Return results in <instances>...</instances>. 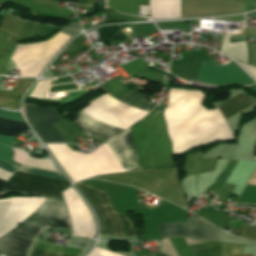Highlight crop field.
<instances>
[{
	"instance_id": "1",
	"label": "crop field",
	"mask_w": 256,
	"mask_h": 256,
	"mask_svg": "<svg viewBox=\"0 0 256 256\" xmlns=\"http://www.w3.org/2000/svg\"><path fill=\"white\" fill-rule=\"evenodd\" d=\"M162 111L163 107L158 105L135 124L161 116ZM130 128L142 170L175 164L163 116ZM132 136L128 129L122 136L106 143L122 172L141 170Z\"/></svg>"
},
{
	"instance_id": "2",
	"label": "crop field",
	"mask_w": 256,
	"mask_h": 256,
	"mask_svg": "<svg viewBox=\"0 0 256 256\" xmlns=\"http://www.w3.org/2000/svg\"><path fill=\"white\" fill-rule=\"evenodd\" d=\"M36 212L67 222L64 203L46 199ZM34 212L27 220L0 237V256H28L44 228H65L69 224Z\"/></svg>"
},
{
	"instance_id": "3",
	"label": "crop field",
	"mask_w": 256,
	"mask_h": 256,
	"mask_svg": "<svg viewBox=\"0 0 256 256\" xmlns=\"http://www.w3.org/2000/svg\"><path fill=\"white\" fill-rule=\"evenodd\" d=\"M13 159L21 164L34 166L50 171L59 172L54 164L52 163L51 159H37L30 157L25 151L21 149L14 148ZM21 165L18 169L19 171L41 175L49 178L65 180L61 174L29 167ZM16 171L12 177L8 180L15 185L11 191L13 192H22V193H32L43 195L48 198H52L58 201H62L61 192L65 190L69 185L65 181H59L54 179H49L41 176L26 174ZM60 173V172H59Z\"/></svg>"
},
{
	"instance_id": "4",
	"label": "crop field",
	"mask_w": 256,
	"mask_h": 256,
	"mask_svg": "<svg viewBox=\"0 0 256 256\" xmlns=\"http://www.w3.org/2000/svg\"><path fill=\"white\" fill-rule=\"evenodd\" d=\"M68 38L70 36L59 32L45 42L19 44L11 60L17 70L20 69V76H37Z\"/></svg>"
},
{
	"instance_id": "5",
	"label": "crop field",
	"mask_w": 256,
	"mask_h": 256,
	"mask_svg": "<svg viewBox=\"0 0 256 256\" xmlns=\"http://www.w3.org/2000/svg\"><path fill=\"white\" fill-rule=\"evenodd\" d=\"M79 190L89 187L78 182ZM96 211L102 225V236H135L131 221L127 216L115 212L109 202L108 193L92 187L81 190Z\"/></svg>"
},
{
	"instance_id": "6",
	"label": "crop field",
	"mask_w": 256,
	"mask_h": 256,
	"mask_svg": "<svg viewBox=\"0 0 256 256\" xmlns=\"http://www.w3.org/2000/svg\"><path fill=\"white\" fill-rule=\"evenodd\" d=\"M147 95L132 91L119 101L150 111L156 104L145 101ZM86 135L99 137L103 142L121 135L124 130L105 124L80 111L78 120L73 122Z\"/></svg>"
},
{
	"instance_id": "7",
	"label": "crop field",
	"mask_w": 256,
	"mask_h": 256,
	"mask_svg": "<svg viewBox=\"0 0 256 256\" xmlns=\"http://www.w3.org/2000/svg\"><path fill=\"white\" fill-rule=\"evenodd\" d=\"M232 62L225 66H215L213 62L203 61L195 81L216 86L255 84Z\"/></svg>"
},
{
	"instance_id": "8",
	"label": "crop field",
	"mask_w": 256,
	"mask_h": 256,
	"mask_svg": "<svg viewBox=\"0 0 256 256\" xmlns=\"http://www.w3.org/2000/svg\"><path fill=\"white\" fill-rule=\"evenodd\" d=\"M44 200L43 198H10L0 200V236L26 219Z\"/></svg>"
},
{
	"instance_id": "9",
	"label": "crop field",
	"mask_w": 256,
	"mask_h": 256,
	"mask_svg": "<svg viewBox=\"0 0 256 256\" xmlns=\"http://www.w3.org/2000/svg\"><path fill=\"white\" fill-rule=\"evenodd\" d=\"M62 194L73 228V235L94 238L96 233L94 219L82 199L72 187Z\"/></svg>"
},
{
	"instance_id": "10",
	"label": "crop field",
	"mask_w": 256,
	"mask_h": 256,
	"mask_svg": "<svg viewBox=\"0 0 256 256\" xmlns=\"http://www.w3.org/2000/svg\"><path fill=\"white\" fill-rule=\"evenodd\" d=\"M24 115L39 134L44 143L63 142L53 123L61 118L51 108H40L26 105Z\"/></svg>"
},
{
	"instance_id": "11",
	"label": "crop field",
	"mask_w": 256,
	"mask_h": 256,
	"mask_svg": "<svg viewBox=\"0 0 256 256\" xmlns=\"http://www.w3.org/2000/svg\"><path fill=\"white\" fill-rule=\"evenodd\" d=\"M160 238L187 236L199 240L218 241L212 225L199 218L188 217V223L157 224Z\"/></svg>"
},
{
	"instance_id": "12",
	"label": "crop field",
	"mask_w": 256,
	"mask_h": 256,
	"mask_svg": "<svg viewBox=\"0 0 256 256\" xmlns=\"http://www.w3.org/2000/svg\"><path fill=\"white\" fill-rule=\"evenodd\" d=\"M0 118L23 122L19 113H9L0 109ZM0 119V134L18 137L22 132L29 130L26 124ZM0 135V143L12 145L16 138Z\"/></svg>"
},
{
	"instance_id": "13",
	"label": "crop field",
	"mask_w": 256,
	"mask_h": 256,
	"mask_svg": "<svg viewBox=\"0 0 256 256\" xmlns=\"http://www.w3.org/2000/svg\"><path fill=\"white\" fill-rule=\"evenodd\" d=\"M33 80L34 79H23L12 92L0 91V106L11 110L19 109V101L22 94Z\"/></svg>"
},
{
	"instance_id": "14",
	"label": "crop field",
	"mask_w": 256,
	"mask_h": 256,
	"mask_svg": "<svg viewBox=\"0 0 256 256\" xmlns=\"http://www.w3.org/2000/svg\"><path fill=\"white\" fill-rule=\"evenodd\" d=\"M84 250L61 248L37 242L30 256H80Z\"/></svg>"
},
{
	"instance_id": "15",
	"label": "crop field",
	"mask_w": 256,
	"mask_h": 256,
	"mask_svg": "<svg viewBox=\"0 0 256 256\" xmlns=\"http://www.w3.org/2000/svg\"><path fill=\"white\" fill-rule=\"evenodd\" d=\"M255 103V101L241 94L238 97L220 105L219 109L224 119H227Z\"/></svg>"
},
{
	"instance_id": "16",
	"label": "crop field",
	"mask_w": 256,
	"mask_h": 256,
	"mask_svg": "<svg viewBox=\"0 0 256 256\" xmlns=\"http://www.w3.org/2000/svg\"><path fill=\"white\" fill-rule=\"evenodd\" d=\"M220 50L236 60L248 63L245 42L229 43V36L224 35L223 43Z\"/></svg>"
},
{
	"instance_id": "17",
	"label": "crop field",
	"mask_w": 256,
	"mask_h": 256,
	"mask_svg": "<svg viewBox=\"0 0 256 256\" xmlns=\"http://www.w3.org/2000/svg\"><path fill=\"white\" fill-rule=\"evenodd\" d=\"M149 0H107V6L113 10L137 15L138 4L148 5Z\"/></svg>"
},
{
	"instance_id": "18",
	"label": "crop field",
	"mask_w": 256,
	"mask_h": 256,
	"mask_svg": "<svg viewBox=\"0 0 256 256\" xmlns=\"http://www.w3.org/2000/svg\"><path fill=\"white\" fill-rule=\"evenodd\" d=\"M17 42L9 36L0 33V74H4L5 67Z\"/></svg>"
},
{
	"instance_id": "19",
	"label": "crop field",
	"mask_w": 256,
	"mask_h": 256,
	"mask_svg": "<svg viewBox=\"0 0 256 256\" xmlns=\"http://www.w3.org/2000/svg\"><path fill=\"white\" fill-rule=\"evenodd\" d=\"M193 256H221V246L216 242H208L189 246Z\"/></svg>"
},
{
	"instance_id": "20",
	"label": "crop field",
	"mask_w": 256,
	"mask_h": 256,
	"mask_svg": "<svg viewBox=\"0 0 256 256\" xmlns=\"http://www.w3.org/2000/svg\"><path fill=\"white\" fill-rule=\"evenodd\" d=\"M10 156H11V149L0 145V159L17 165L15 162H13L11 160ZM0 168L5 169V170L10 171V172L13 173L18 167L10 165V164L5 163V162L0 160ZM2 169H0V178L7 181V179L10 177V175L12 173L7 172V171L2 170Z\"/></svg>"
},
{
	"instance_id": "21",
	"label": "crop field",
	"mask_w": 256,
	"mask_h": 256,
	"mask_svg": "<svg viewBox=\"0 0 256 256\" xmlns=\"http://www.w3.org/2000/svg\"><path fill=\"white\" fill-rule=\"evenodd\" d=\"M51 80L38 81L35 88L32 90L30 96L43 98Z\"/></svg>"
},
{
	"instance_id": "22",
	"label": "crop field",
	"mask_w": 256,
	"mask_h": 256,
	"mask_svg": "<svg viewBox=\"0 0 256 256\" xmlns=\"http://www.w3.org/2000/svg\"><path fill=\"white\" fill-rule=\"evenodd\" d=\"M222 245V256H234L239 255L240 250L242 246L238 245H227V244H221Z\"/></svg>"
},
{
	"instance_id": "23",
	"label": "crop field",
	"mask_w": 256,
	"mask_h": 256,
	"mask_svg": "<svg viewBox=\"0 0 256 256\" xmlns=\"http://www.w3.org/2000/svg\"><path fill=\"white\" fill-rule=\"evenodd\" d=\"M87 256H120V255L94 247Z\"/></svg>"
},
{
	"instance_id": "24",
	"label": "crop field",
	"mask_w": 256,
	"mask_h": 256,
	"mask_svg": "<svg viewBox=\"0 0 256 256\" xmlns=\"http://www.w3.org/2000/svg\"><path fill=\"white\" fill-rule=\"evenodd\" d=\"M15 185L10 184L8 182H5L0 179V194L8 192L10 189H12Z\"/></svg>"
},
{
	"instance_id": "25",
	"label": "crop field",
	"mask_w": 256,
	"mask_h": 256,
	"mask_svg": "<svg viewBox=\"0 0 256 256\" xmlns=\"http://www.w3.org/2000/svg\"><path fill=\"white\" fill-rule=\"evenodd\" d=\"M255 79H256V67L239 62Z\"/></svg>"
},
{
	"instance_id": "26",
	"label": "crop field",
	"mask_w": 256,
	"mask_h": 256,
	"mask_svg": "<svg viewBox=\"0 0 256 256\" xmlns=\"http://www.w3.org/2000/svg\"><path fill=\"white\" fill-rule=\"evenodd\" d=\"M93 1L94 0H80V4L93 6Z\"/></svg>"
},
{
	"instance_id": "27",
	"label": "crop field",
	"mask_w": 256,
	"mask_h": 256,
	"mask_svg": "<svg viewBox=\"0 0 256 256\" xmlns=\"http://www.w3.org/2000/svg\"><path fill=\"white\" fill-rule=\"evenodd\" d=\"M234 206H241V207H251V208H256V205H250V204H241V203H235L232 204Z\"/></svg>"
},
{
	"instance_id": "28",
	"label": "crop field",
	"mask_w": 256,
	"mask_h": 256,
	"mask_svg": "<svg viewBox=\"0 0 256 256\" xmlns=\"http://www.w3.org/2000/svg\"><path fill=\"white\" fill-rule=\"evenodd\" d=\"M251 156L254 157V158H256V143H255L254 146H253Z\"/></svg>"
},
{
	"instance_id": "29",
	"label": "crop field",
	"mask_w": 256,
	"mask_h": 256,
	"mask_svg": "<svg viewBox=\"0 0 256 256\" xmlns=\"http://www.w3.org/2000/svg\"><path fill=\"white\" fill-rule=\"evenodd\" d=\"M58 1L73 2V3H78L79 4V0H58Z\"/></svg>"
},
{
	"instance_id": "30",
	"label": "crop field",
	"mask_w": 256,
	"mask_h": 256,
	"mask_svg": "<svg viewBox=\"0 0 256 256\" xmlns=\"http://www.w3.org/2000/svg\"><path fill=\"white\" fill-rule=\"evenodd\" d=\"M158 256H165L164 254L158 255Z\"/></svg>"
}]
</instances>
